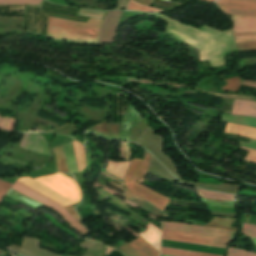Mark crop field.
<instances>
[{
    "mask_svg": "<svg viewBox=\"0 0 256 256\" xmlns=\"http://www.w3.org/2000/svg\"><path fill=\"white\" fill-rule=\"evenodd\" d=\"M168 22L166 32L199 50V62H209L212 68L226 65L225 53L236 52L231 30L221 33L202 25L195 29L160 14H153Z\"/></svg>",
    "mask_w": 256,
    "mask_h": 256,
    "instance_id": "obj_1",
    "label": "crop field"
},
{
    "mask_svg": "<svg viewBox=\"0 0 256 256\" xmlns=\"http://www.w3.org/2000/svg\"><path fill=\"white\" fill-rule=\"evenodd\" d=\"M47 38L97 44L103 20L89 18L87 23L48 17Z\"/></svg>",
    "mask_w": 256,
    "mask_h": 256,
    "instance_id": "obj_2",
    "label": "crop field"
},
{
    "mask_svg": "<svg viewBox=\"0 0 256 256\" xmlns=\"http://www.w3.org/2000/svg\"><path fill=\"white\" fill-rule=\"evenodd\" d=\"M142 162L143 160L139 159L132 160L125 177L126 190L164 211V208L169 203L170 199L135 182L142 166Z\"/></svg>",
    "mask_w": 256,
    "mask_h": 256,
    "instance_id": "obj_3",
    "label": "crop field"
},
{
    "mask_svg": "<svg viewBox=\"0 0 256 256\" xmlns=\"http://www.w3.org/2000/svg\"><path fill=\"white\" fill-rule=\"evenodd\" d=\"M34 180L73 204L80 199V191L74 181L59 173L34 178Z\"/></svg>",
    "mask_w": 256,
    "mask_h": 256,
    "instance_id": "obj_4",
    "label": "crop field"
},
{
    "mask_svg": "<svg viewBox=\"0 0 256 256\" xmlns=\"http://www.w3.org/2000/svg\"><path fill=\"white\" fill-rule=\"evenodd\" d=\"M11 189L48 206L49 208L54 210L65 222H67L84 236L88 232L86 228H84L77 220H75L68 212H66L67 210L65 211L62 207L42 197L41 195L23 186L22 184L15 181Z\"/></svg>",
    "mask_w": 256,
    "mask_h": 256,
    "instance_id": "obj_5",
    "label": "crop field"
},
{
    "mask_svg": "<svg viewBox=\"0 0 256 256\" xmlns=\"http://www.w3.org/2000/svg\"><path fill=\"white\" fill-rule=\"evenodd\" d=\"M162 239L226 248L229 239L189 234L162 229Z\"/></svg>",
    "mask_w": 256,
    "mask_h": 256,
    "instance_id": "obj_6",
    "label": "crop field"
},
{
    "mask_svg": "<svg viewBox=\"0 0 256 256\" xmlns=\"http://www.w3.org/2000/svg\"><path fill=\"white\" fill-rule=\"evenodd\" d=\"M162 223H163L162 228H165V229L192 232V233L211 235V236H217V237H223V238H229V239H232L233 236L236 234L235 231L224 230V229H219L214 227H205V226H198V225L177 223V222H167V221H162Z\"/></svg>",
    "mask_w": 256,
    "mask_h": 256,
    "instance_id": "obj_7",
    "label": "crop field"
},
{
    "mask_svg": "<svg viewBox=\"0 0 256 256\" xmlns=\"http://www.w3.org/2000/svg\"><path fill=\"white\" fill-rule=\"evenodd\" d=\"M216 4L229 15L256 17V0H219Z\"/></svg>",
    "mask_w": 256,
    "mask_h": 256,
    "instance_id": "obj_8",
    "label": "crop field"
},
{
    "mask_svg": "<svg viewBox=\"0 0 256 256\" xmlns=\"http://www.w3.org/2000/svg\"><path fill=\"white\" fill-rule=\"evenodd\" d=\"M16 181L24 184L25 186L31 188L32 190L40 193L41 195L47 197L48 199L56 202L57 204H59V205H61L63 207L66 206V205H71V203H69L65 199L61 198L57 194H55L52 191L48 190L47 188H45L44 186L40 185L39 183H37L36 181L32 180L29 177L18 178Z\"/></svg>",
    "mask_w": 256,
    "mask_h": 256,
    "instance_id": "obj_9",
    "label": "crop field"
},
{
    "mask_svg": "<svg viewBox=\"0 0 256 256\" xmlns=\"http://www.w3.org/2000/svg\"><path fill=\"white\" fill-rule=\"evenodd\" d=\"M233 32L256 31V18L231 16Z\"/></svg>",
    "mask_w": 256,
    "mask_h": 256,
    "instance_id": "obj_10",
    "label": "crop field"
},
{
    "mask_svg": "<svg viewBox=\"0 0 256 256\" xmlns=\"http://www.w3.org/2000/svg\"><path fill=\"white\" fill-rule=\"evenodd\" d=\"M231 115L256 117V102L235 100Z\"/></svg>",
    "mask_w": 256,
    "mask_h": 256,
    "instance_id": "obj_11",
    "label": "crop field"
},
{
    "mask_svg": "<svg viewBox=\"0 0 256 256\" xmlns=\"http://www.w3.org/2000/svg\"><path fill=\"white\" fill-rule=\"evenodd\" d=\"M224 133L256 139V129L236 124L227 123Z\"/></svg>",
    "mask_w": 256,
    "mask_h": 256,
    "instance_id": "obj_12",
    "label": "crop field"
},
{
    "mask_svg": "<svg viewBox=\"0 0 256 256\" xmlns=\"http://www.w3.org/2000/svg\"><path fill=\"white\" fill-rule=\"evenodd\" d=\"M146 242L159 251L160 230L149 224L146 232L139 234Z\"/></svg>",
    "mask_w": 256,
    "mask_h": 256,
    "instance_id": "obj_13",
    "label": "crop field"
},
{
    "mask_svg": "<svg viewBox=\"0 0 256 256\" xmlns=\"http://www.w3.org/2000/svg\"><path fill=\"white\" fill-rule=\"evenodd\" d=\"M128 244L140 252L143 256H159V253L140 237Z\"/></svg>",
    "mask_w": 256,
    "mask_h": 256,
    "instance_id": "obj_14",
    "label": "crop field"
},
{
    "mask_svg": "<svg viewBox=\"0 0 256 256\" xmlns=\"http://www.w3.org/2000/svg\"><path fill=\"white\" fill-rule=\"evenodd\" d=\"M161 254L171 255V256H220V255H213V254H206V253H199V252L164 248V247H161Z\"/></svg>",
    "mask_w": 256,
    "mask_h": 256,
    "instance_id": "obj_15",
    "label": "crop field"
},
{
    "mask_svg": "<svg viewBox=\"0 0 256 256\" xmlns=\"http://www.w3.org/2000/svg\"><path fill=\"white\" fill-rule=\"evenodd\" d=\"M74 153L77 161V166L79 172H81L84 168H86V162H85V154H84V148L82 145L77 141H72Z\"/></svg>",
    "mask_w": 256,
    "mask_h": 256,
    "instance_id": "obj_16",
    "label": "crop field"
},
{
    "mask_svg": "<svg viewBox=\"0 0 256 256\" xmlns=\"http://www.w3.org/2000/svg\"><path fill=\"white\" fill-rule=\"evenodd\" d=\"M56 157L57 170L68 173L62 145L52 149Z\"/></svg>",
    "mask_w": 256,
    "mask_h": 256,
    "instance_id": "obj_17",
    "label": "crop field"
},
{
    "mask_svg": "<svg viewBox=\"0 0 256 256\" xmlns=\"http://www.w3.org/2000/svg\"><path fill=\"white\" fill-rule=\"evenodd\" d=\"M234 220L235 219L213 217L212 220L208 224H206V226H215L237 231L238 229L230 227Z\"/></svg>",
    "mask_w": 256,
    "mask_h": 256,
    "instance_id": "obj_18",
    "label": "crop field"
},
{
    "mask_svg": "<svg viewBox=\"0 0 256 256\" xmlns=\"http://www.w3.org/2000/svg\"><path fill=\"white\" fill-rule=\"evenodd\" d=\"M196 193H198L199 195H201L203 197H206V198L219 199V200L233 201L234 197H235V196H232V195L201 191V190H197V189H196Z\"/></svg>",
    "mask_w": 256,
    "mask_h": 256,
    "instance_id": "obj_19",
    "label": "crop field"
},
{
    "mask_svg": "<svg viewBox=\"0 0 256 256\" xmlns=\"http://www.w3.org/2000/svg\"><path fill=\"white\" fill-rule=\"evenodd\" d=\"M125 9L147 11V12H166V11L159 10V9H156V8L140 5L136 2H134L133 0H128V4H127Z\"/></svg>",
    "mask_w": 256,
    "mask_h": 256,
    "instance_id": "obj_20",
    "label": "crop field"
},
{
    "mask_svg": "<svg viewBox=\"0 0 256 256\" xmlns=\"http://www.w3.org/2000/svg\"><path fill=\"white\" fill-rule=\"evenodd\" d=\"M224 81L227 82V85L222 87V90L238 91V88L241 87L240 78L227 79Z\"/></svg>",
    "mask_w": 256,
    "mask_h": 256,
    "instance_id": "obj_21",
    "label": "crop field"
},
{
    "mask_svg": "<svg viewBox=\"0 0 256 256\" xmlns=\"http://www.w3.org/2000/svg\"><path fill=\"white\" fill-rule=\"evenodd\" d=\"M149 156L150 154H148L146 151H145V155H144V163H143V166H142V169L140 171V174L137 178V182H140V183H143L144 179H145V176L147 174V170H148V166H149Z\"/></svg>",
    "mask_w": 256,
    "mask_h": 256,
    "instance_id": "obj_22",
    "label": "crop field"
},
{
    "mask_svg": "<svg viewBox=\"0 0 256 256\" xmlns=\"http://www.w3.org/2000/svg\"><path fill=\"white\" fill-rule=\"evenodd\" d=\"M42 0H0V4H33L39 5Z\"/></svg>",
    "mask_w": 256,
    "mask_h": 256,
    "instance_id": "obj_23",
    "label": "crop field"
},
{
    "mask_svg": "<svg viewBox=\"0 0 256 256\" xmlns=\"http://www.w3.org/2000/svg\"><path fill=\"white\" fill-rule=\"evenodd\" d=\"M118 248L123 250L127 256H142L141 254H139L136 250H134L131 246H129L125 242L123 244H121Z\"/></svg>",
    "mask_w": 256,
    "mask_h": 256,
    "instance_id": "obj_24",
    "label": "crop field"
},
{
    "mask_svg": "<svg viewBox=\"0 0 256 256\" xmlns=\"http://www.w3.org/2000/svg\"><path fill=\"white\" fill-rule=\"evenodd\" d=\"M228 255L227 256H256L254 253H249L245 251H241L238 249L230 248L227 249Z\"/></svg>",
    "mask_w": 256,
    "mask_h": 256,
    "instance_id": "obj_25",
    "label": "crop field"
},
{
    "mask_svg": "<svg viewBox=\"0 0 256 256\" xmlns=\"http://www.w3.org/2000/svg\"><path fill=\"white\" fill-rule=\"evenodd\" d=\"M242 233L249 237L256 238V226L250 224H243Z\"/></svg>",
    "mask_w": 256,
    "mask_h": 256,
    "instance_id": "obj_26",
    "label": "crop field"
},
{
    "mask_svg": "<svg viewBox=\"0 0 256 256\" xmlns=\"http://www.w3.org/2000/svg\"><path fill=\"white\" fill-rule=\"evenodd\" d=\"M240 148L249 151L248 154L246 155V157L243 159V161L256 163V151L242 148V147H240Z\"/></svg>",
    "mask_w": 256,
    "mask_h": 256,
    "instance_id": "obj_27",
    "label": "crop field"
},
{
    "mask_svg": "<svg viewBox=\"0 0 256 256\" xmlns=\"http://www.w3.org/2000/svg\"><path fill=\"white\" fill-rule=\"evenodd\" d=\"M11 185H12L11 183L0 181V200L2 196L6 193V191L10 188Z\"/></svg>",
    "mask_w": 256,
    "mask_h": 256,
    "instance_id": "obj_28",
    "label": "crop field"
},
{
    "mask_svg": "<svg viewBox=\"0 0 256 256\" xmlns=\"http://www.w3.org/2000/svg\"><path fill=\"white\" fill-rule=\"evenodd\" d=\"M237 50L256 49V43L236 44Z\"/></svg>",
    "mask_w": 256,
    "mask_h": 256,
    "instance_id": "obj_29",
    "label": "crop field"
},
{
    "mask_svg": "<svg viewBox=\"0 0 256 256\" xmlns=\"http://www.w3.org/2000/svg\"><path fill=\"white\" fill-rule=\"evenodd\" d=\"M64 209L67 210L74 218H76L79 221L77 214L75 213V211L72 209L71 206H67Z\"/></svg>",
    "mask_w": 256,
    "mask_h": 256,
    "instance_id": "obj_30",
    "label": "crop field"
},
{
    "mask_svg": "<svg viewBox=\"0 0 256 256\" xmlns=\"http://www.w3.org/2000/svg\"><path fill=\"white\" fill-rule=\"evenodd\" d=\"M234 36L256 35V32L233 33Z\"/></svg>",
    "mask_w": 256,
    "mask_h": 256,
    "instance_id": "obj_31",
    "label": "crop field"
},
{
    "mask_svg": "<svg viewBox=\"0 0 256 256\" xmlns=\"http://www.w3.org/2000/svg\"><path fill=\"white\" fill-rule=\"evenodd\" d=\"M236 43L256 42V39L235 40Z\"/></svg>",
    "mask_w": 256,
    "mask_h": 256,
    "instance_id": "obj_32",
    "label": "crop field"
},
{
    "mask_svg": "<svg viewBox=\"0 0 256 256\" xmlns=\"http://www.w3.org/2000/svg\"><path fill=\"white\" fill-rule=\"evenodd\" d=\"M64 256H69V255L65 254ZM82 256H96V255L87 250Z\"/></svg>",
    "mask_w": 256,
    "mask_h": 256,
    "instance_id": "obj_33",
    "label": "crop field"
},
{
    "mask_svg": "<svg viewBox=\"0 0 256 256\" xmlns=\"http://www.w3.org/2000/svg\"><path fill=\"white\" fill-rule=\"evenodd\" d=\"M235 39L256 38V36L234 37Z\"/></svg>",
    "mask_w": 256,
    "mask_h": 256,
    "instance_id": "obj_34",
    "label": "crop field"
},
{
    "mask_svg": "<svg viewBox=\"0 0 256 256\" xmlns=\"http://www.w3.org/2000/svg\"><path fill=\"white\" fill-rule=\"evenodd\" d=\"M242 84L256 88V85H254V84H249V83H245V82H243Z\"/></svg>",
    "mask_w": 256,
    "mask_h": 256,
    "instance_id": "obj_35",
    "label": "crop field"
},
{
    "mask_svg": "<svg viewBox=\"0 0 256 256\" xmlns=\"http://www.w3.org/2000/svg\"><path fill=\"white\" fill-rule=\"evenodd\" d=\"M245 82H250V83H256V81H248V80H243Z\"/></svg>",
    "mask_w": 256,
    "mask_h": 256,
    "instance_id": "obj_36",
    "label": "crop field"
},
{
    "mask_svg": "<svg viewBox=\"0 0 256 256\" xmlns=\"http://www.w3.org/2000/svg\"><path fill=\"white\" fill-rule=\"evenodd\" d=\"M252 239V238H251ZM252 241L254 242L255 246H256V239H252Z\"/></svg>",
    "mask_w": 256,
    "mask_h": 256,
    "instance_id": "obj_37",
    "label": "crop field"
},
{
    "mask_svg": "<svg viewBox=\"0 0 256 256\" xmlns=\"http://www.w3.org/2000/svg\"><path fill=\"white\" fill-rule=\"evenodd\" d=\"M205 1L213 2V1H216V0H205Z\"/></svg>",
    "mask_w": 256,
    "mask_h": 256,
    "instance_id": "obj_38",
    "label": "crop field"
},
{
    "mask_svg": "<svg viewBox=\"0 0 256 256\" xmlns=\"http://www.w3.org/2000/svg\"><path fill=\"white\" fill-rule=\"evenodd\" d=\"M161 256H164V255H161Z\"/></svg>",
    "mask_w": 256,
    "mask_h": 256,
    "instance_id": "obj_39",
    "label": "crop field"
}]
</instances>
